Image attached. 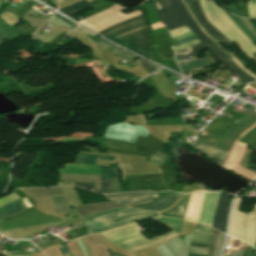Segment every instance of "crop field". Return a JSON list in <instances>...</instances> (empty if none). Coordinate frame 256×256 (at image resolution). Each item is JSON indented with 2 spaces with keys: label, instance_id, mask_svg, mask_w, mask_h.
<instances>
[{
  "label": "crop field",
  "instance_id": "8a807250",
  "mask_svg": "<svg viewBox=\"0 0 256 256\" xmlns=\"http://www.w3.org/2000/svg\"><path fill=\"white\" fill-rule=\"evenodd\" d=\"M172 2V5L170 3ZM152 0V5L155 7L156 15L161 23L167 28V31L187 25L196 37L202 42L189 49L178 51L175 53V59H182L193 56L205 49H210L217 60L227 66L236 75L242 78L245 82L254 81L252 77L240 70L234 62L225 54V52L216 45L212 40L206 37L192 17L187 12L181 0Z\"/></svg>",
  "mask_w": 256,
  "mask_h": 256
},
{
  "label": "crop field",
  "instance_id": "ac0d7876",
  "mask_svg": "<svg viewBox=\"0 0 256 256\" xmlns=\"http://www.w3.org/2000/svg\"><path fill=\"white\" fill-rule=\"evenodd\" d=\"M156 219L158 221H160L161 223H163L164 225H166L167 227H169L170 229H172V230H174L178 233L180 232L181 225H182L183 221L164 218V217H159V218H156ZM136 228H137L136 225L133 224V225H129V226H125V227L117 228V229H114V230H111V231H108V232L101 233V235H103L105 238H107V237L117 235V234L129 231V230H133V229H136ZM174 231H171V232L166 233L162 236L147 240L144 236H142L139 233L138 229H136V230L126 232V233H123V234H120V235H117V236H114V237H110V238H107V239H109L113 243H116V242L124 241V240H127V239H131V238H134V237L142 236V237L134 238V239L127 240V241H124V242L116 243L120 247H122L125 250L131 252V251H134V250H137V249H141V248L159 243L161 241L167 240L171 237H174V236L178 235V233H176Z\"/></svg>",
  "mask_w": 256,
  "mask_h": 256
},
{
  "label": "crop field",
  "instance_id": "34b2d1b8",
  "mask_svg": "<svg viewBox=\"0 0 256 256\" xmlns=\"http://www.w3.org/2000/svg\"><path fill=\"white\" fill-rule=\"evenodd\" d=\"M206 1L210 11L206 7L205 0H199L208 21L232 43L236 42L249 59L254 58L256 60L253 55L256 54V47L236 27L223 10L219 9L211 0Z\"/></svg>",
  "mask_w": 256,
  "mask_h": 256
},
{
  "label": "crop field",
  "instance_id": "412701ff",
  "mask_svg": "<svg viewBox=\"0 0 256 256\" xmlns=\"http://www.w3.org/2000/svg\"><path fill=\"white\" fill-rule=\"evenodd\" d=\"M146 212H151V211L134 210L127 207L103 211V212L85 216V218L89 219L90 221L83 223V225L92 229L94 233H98L100 231H107L112 228L120 227L133 222L158 216L156 212L133 216V215L146 213ZM129 216H133V217H129ZM125 217H129V218L118 220ZM114 220H118V221H114ZM111 221H114V222H111Z\"/></svg>",
  "mask_w": 256,
  "mask_h": 256
},
{
  "label": "crop field",
  "instance_id": "f4fd0767",
  "mask_svg": "<svg viewBox=\"0 0 256 256\" xmlns=\"http://www.w3.org/2000/svg\"><path fill=\"white\" fill-rule=\"evenodd\" d=\"M146 23L147 22L145 18H143L136 22L115 29L103 36L151 59V54L147 50L149 30Z\"/></svg>",
  "mask_w": 256,
  "mask_h": 256
},
{
  "label": "crop field",
  "instance_id": "dd49c442",
  "mask_svg": "<svg viewBox=\"0 0 256 256\" xmlns=\"http://www.w3.org/2000/svg\"><path fill=\"white\" fill-rule=\"evenodd\" d=\"M241 199H235L228 234L237 237L254 247L256 231V205L251 213H240Z\"/></svg>",
  "mask_w": 256,
  "mask_h": 256
},
{
  "label": "crop field",
  "instance_id": "e52e79f7",
  "mask_svg": "<svg viewBox=\"0 0 256 256\" xmlns=\"http://www.w3.org/2000/svg\"><path fill=\"white\" fill-rule=\"evenodd\" d=\"M203 193L204 192H194L191 193L180 203L178 204L173 210L167 212L166 214H164L165 216H170V217H176V218H182L183 215V211L187 202V198H188V202L184 211V215L183 218L184 220H188V221H196V217L198 214V210L200 207V203L203 197Z\"/></svg>",
  "mask_w": 256,
  "mask_h": 256
},
{
  "label": "crop field",
  "instance_id": "d8731c3e",
  "mask_svg": "<svg viewBox=\"0 0 256 256\" xmlns=\"http://www.w3.org/2000/svg\"><path fill=\"white\" fill-rule=\"evenodd\" d=\"M147 134L144 127L120 123L108 126L105 137L134 143L138 135L146 137Z\"/></svg>",
  "mask_w": 256,
  "mask_h": 256
},
{
  "label": "crop field",
  "instance_id": "5a996713",
  "mask_svg": "<svg viewBox=\"0 0 256 256\" xmlns=\"http://www.w3.org/2000/svg\"><path fill=\"white\" fill-rule=\"evenodd\" d=\"M30 190L36 192L38 197L51 196L56 213L70 211L64 187L38 188Z\"/></svg>",
  "mask_w": 256,
  "mask_h": 256
},
{
  "label": "crop field",
  "instance_id": "3316defc",
  "mask_svg": "<svg viewBox=\"0 0 256 256\" xmlns=\"http://www.w3.org/2000/svg\"><path fill=\"white\" fill-rule=\"evenodd\" d=\"M195 146L197 149L202 152L205 156L217 161L222 164L225 162L230 149L222 148L219 146H215L200 140L196 139Z\"/></svg>",
  "mask_w": 256,
  "mask_h": 256
},
{
  "label": "crop field",
  "instance_id": "28ad6ade",
  "mask_svg": "<svg viewBox=\"0 0 256 256\" xmlns=\"http://www.w3.org/2000/svg\"><path fill=\"white\" fill-rule=\"evenodd\" d=\"M230 200H231V196L229 194L225 192H221L219 202L215 210V216H214L212 226L223 232L225 231L227 211H228Z\"/></svg>",
  "mask_w": 256,
  "mask_h": 256
},
{
  "label": "crop field",
  "instance_id": "d1516ede",
  "mask_svg": "<svg viewBox=\"0 0 256 256\" xmlns=\"http://www.w3.org/2000/svg\"><path fill=\"white\" fill-rule=\"evenodd\" d=\"M193 10L195 11L197 17L200 19L202 24L215 36L217 37L223 44H227L230 46L232 43L226 39L217 29H215L206 19L202 8L198 2V0H189Z\"/></svg>",
  "mask_w": 256,
  "mask_h": 256
},
{
  "label": "crop field",
  "instance_id": "22f410ed",
  "mask_svg": "<svg viewBox=\"0 0 256 256\" xmlns=\"http://www.w3.org/2000/svg\"><path fill=\"white\" fill-rule=\"evenodd\" d=\"M205 54L207 55V57L203 59H200V60L194 59V60L178 63V65L182 70V73L187 71L200 70L205 67L216 64V61L213 59V57L210 55L209 52Z\"/></svg>",
  "mask_w": 256,
  "mask_h": 256
},
{
  "label": "crop field",
  "instance_id": "cbeb9de0",
  "mask_svg": "<svg viewBox=\"0 0 256 256\" xmlns=\"http://www.w3.org/2000/svg\"><path fill=\"white\" fill-rule=\"evenodd\" d=\"M118 207H123V206H119L113 202H109V203H102V204L79 206V207H77V210L82 216H84V215H88V214L95 213L98 211L114 209V208H118Z\"/></svg>",
  "mask_w": 256,
  "mask_h": 256
},
{
  "label": "crop field",
  "instance_id": "5142ce71",
  "mask_svg": "<svg viewBox=\"0 0 256 256\" xmlns=\"http://www.w3.org/2000/svg\"><path fill=\"white\" fill-rule=\"evenodd\" d=\"M64 181H86L95 182L98 192H100V175L85 174H61Z\"/></svg>",
  "mask_w": 256,
  "mask_h": 256
},
{
  "label": "crop field",
  "instance_id": "d9b57169",
  "mask_svg": "<svg viewBox=\"0 0 256 256\" xmlns=\"http://www.w3.org/2000/svg\"><path fill=\"white\" fill-rule=\"evenodd\" d=\"M26 208H28V206L21 199H19L0 208V219Z\"/></svg>",
  "mask_w": 256,
  "mask_h": 256
},
{
  "label": "crop field",
  "instance_id": "733c2abd",
  "mask_svg": "<svg viewBox=\"0 0 256 256\" xmlns=\"http://www.w3.org/2000/svg\"><path fill=\"white\" fill-rule=\"evenodd\" d=\"M90 7H92V5H90L87 1L83 0L81 2L60 9V12L70 16L72 14H75Z\"/></svg>",
  "mask_w": 256,
  "mask_h": 256
},
{
  "label": "crop field",
  "instance_id": "4a817a6b",
  "mask_svg": "<svg viewBox=\"0 0 256 256\" xmlns=\"http://www.w3.org/2000/svg\"><path fill=\"white\" fill-rule=\"evenodd\" d=\"M95 159L114 161V157L80 153L76 163L95 164Z\"/></svg>",
  "mask_w": 256,
  "mask_h": 256
},
{
  "label": "crop field",
  "instance_id": "bc2a9ffb",
  "mask_svg": "<svg viewBox=\"0 0 256 256\" xmlns=\"http://www.w3.org/2000/svg\"><path fill=\"white\" fill-rule=\"evenodd\" d=\"M157 197H159V196H157L156 194H149V195H145V196L115 198V199H111V200L115 201L117 203H120V204H125V203H133V202H140V201H144V200L154 199Z\"/></svg>",
  "mask_w": 256,
  "mask_h": 256
},
{
  "label": "crop field",
  "instance_id": "214f88e0",
  "mask_svg": "<svg viewBox=\"0 0 256 256\" xmlns=\"http://www.w3.org/2000/svg\"><path fill=\"white\" fill-rule=\"evenodd\" d=\"M186 6V8L188 9L190 15L193 17V19L196 21V23L199 25V27L201 28V30L204 32V34L206 36H208L210 39H212L215 43H220V41L218 39H216L202 24L201 22L198 20V18L196 17V15L194 14L188 0H182Z\"/></svg>",
  "mask_w": 256,
  "mask_h": 256
},
{
  "label": "crop field",
  "instance_id": "92a150f3",
  "mask_svg": "<svg viewBox=\"0 0 256 256\" xmlns=\"http://www.w3.org/2000/svg\"><path fill=\"white\" fill-rule=\"evenodd\" d=\"M180 194H173L172 197L168 198L167 200H165L162 204L159 205H155V206H149V207H144V208H139V209H148V210H162L168 206H170L179 196Z\"/></svg>",
  "mask_w": 256,
  "mask_h": 256
},
{
  "label": "crop field",
  "instance_id": "dafd665d",
  "mask_svg": "<svg viewBox=\"0 0 256 256\" xmlns=\"http://www.w3.org/2000/svg\"><path fill=\"white\" fill-rule=\"evenodd\" d=\"M0 18H2L4 21H6L7 23L13 26L19 23L20 21L19 17H17L7 9L0 14Z\"/></svg>",
  "mask_w": 256,
  "mask_h": 256
},
{
  "label": "crop field",
  "instance_id": "00972430",
  "mask_svg": "<svg viewBox=\"0 0 256 256\" xmlns=\"http://www.w3.org/2000/svg\"><path fill=\"white\" fill-rule=\"evenodd\" d=\"M82 36L89 38L91 41H93L94 43L100 45L101 47H103V48H105L107 50L115 47V46L111 45L110 43L106 42L105 40L101 39L100 37H98L96 35L93 37V36L85 33Z\"/></svg>",
  "mask_w": 256,
  "mask_h": 256
},
{
  "label": "crop field",
  "instance_id": "a9b5d70f",
  "mask_svg": "<svg viewBox=\"0 0 256 256\" xmlns=\"http://www.w3.org/2000/svg\"><path fill=\"white\" fill-rule=\"evenodd\" d=\"M212 237L213 236H211V235H207V234H203V233L194 231L191 241L210 244Z\"/></svg>",
  "mask_w": 256,
  "mask_h": 256
},
{
  "label": "crop field",
  "instance_id": "4177f3b9",
  "mask_svg": "<svg viewBox=\"0 0 256 256\" xmlns=\"http://www.w3.org/2000/svg\"><path fill=\"white\" fill-rule=\"evenodd\" d=\"M90 140H92V141H98V142H100V144L103 145V146L133 151V150H132V147L129 146V145H124V144L115 143V142H111V141H102V140H93V139H90Z\"/></svg>",
  "mask_w": 256,
  "mask_h": 256
},
{
  "label": "crop field",
  "instance_id": "730fd06b",
  "mask_svg": "<svg viewBox=\"0 0 256 256\" xmlns=\"http://www.w3.org/2000/svg\"><path fill=\"white\" fill-rule=\"evenodd\" d=\"M102 169L103 177H114V176H120L119 170L117 167V164H113V167H110L111 169H106L105 166H100Z\"/></svg>",
  "mask_w": 256,
  "mask_h": 256
},
{
  "label": "crop field",
  "instance_id": "eef30255",
  "mask_svg": "<svg viewBox=\"0 0 256 256\" xmlns=\"http://www.w3.org/2000/svg\"><path fill=\"white\" fill-rule=\"evenodd\" d=\"M165 160H166V157L157 152L154 155L150 156L149 158L150 163L158 167L162 165Z\"/></svg>",
  "mask_w": 256,
  "mask_h": 256
},
{
  "label": "crop field",
  "instance_id": "ae1a2a85",
  "mask_svg": "<svg viewBox=\"0 0 256 256\" xmlns=\"http://www.w3.org/2000/svg\"><path fill=\"white\" fill-rule=\"evenodd\" d=\"M109 51H111V52H113V53H115V54H117V55H119V56H121V57H123V58H125L127 60H134V59L138 58V57H136V56H134V55H132V54H130L128 52L122 51V50H120V49H118L116 47L111 49V50H109Z\"/></svg>",
  "mask_w": 256,
  "mask_h": 256
},
{
  "label": "crop field",
  "instance_id": "d3111659",
  "mask_svg": "<svg viewBox=\"0 0 256 256\" xmlns=\"http://www.w3.org/2000/svg\"><path fill=\"white\" fill-rule=\"evenodd\" d=\"M188 32H190V30L187 28V26H185V27H182L179 29L169 31L168 34L170 35L171 38H176V37L182 36Z\"/></svg>",
  "mask_w": 256,
  "mask_h": 256
},
{
  "label": "crop field",
  "instance_id": "750c4746",
  "mask_svg": "<svg viewBox=\"0 0 256 256\" xmlns=\"http://www.w3.org/2000/svg\"><path fill=\"white\" fill-rule=\"evenodd\" d=\"M141 18H143V15L138 16V17H135V18H132V19H129V20L124 21V22H121V23H119V24H116V25H114V26H112V27H110V28H108V29H105V30L99 32V33H100L101 35H103V34L109 32V31H111V30H113V29H115V28H117V27H119V26L125 25V24H127V23L133 22V21L138 20V19H141Z\"/></svg>",
  "mask_w": 256,
  "mask_h": 256
},
{
  "label": "crop field",
  "instance_id": "bd1437ed",
  "mask_svg": "<svg viewBox=\"0 0 256 256\" xmlns=\"http://www.w3.org/2000/svg\"><path fill=\"white\" fill-rule=\"evenodd\" d=\"M62 242H64V241L61 240V239L54 240V241H51V240L47 239V240H44V241H42V242L37 243L36 245H37L40 249L43 250V249H45V248H47V247H49V246H51V245L58 244V243H62Z\"/></svg>",
  "mask_w": 256,
  "mask_h": 256
},
{
  "label": "crop field",
  "instance_id": "1d83c4d3",
  "mask_svg": "<svg viewBox=\"0 0 256 256\" xmlns=\"http://www.w3.org/2000/svg\"><path fill=\"white\" fill-rule=\"evenodd\" d=\"M137 62H139V63L144 67V69H145L146 71H148L149 73H151V72H153V71L159 69V68L155 67L154 64L149 63V62H147V61H144V60H142V59L137 60Z\"/></svg>",
  "mask_w": 256,
  "mask_h": 256
},
{
  "label": "crop field",
  "instance_id": "120bbe31",
  "mask_svg": "<svg viewBox=\"0 0 256 256\" xmlns=\"http://www.w3.org/2000/svg\"><path fill=\"white\" fill-rule=\"evenodd\" d=\"M102 192H111L110 178H102L101 175Z\"/></svg>",
  "mask_w": 256,
  "mask_h": 256
},
{
  "label": "crop field",
  "instance_id": "d32e631a",
  "mask_svg": "<svg viewBox=\"0 0 256 256\" xmlns=\"http://www.w3.org/2000/svg\"><path fill=\"white\" fill-rule=\"evenodd\" d=\"M0 29L4 30V31H6V32H9V33H11V34H13V35H15V36H17V37H19L18 34H16V33H14V32L11 31L12 29H14V27L11 26V25H9V24H7L6 22H4V21L1 20V19H0Z\"/></svg>",
  "mask_w": 256,
  "mask_h": 256
},
{
  "label": "crop field",
  "instance_id": "5866460e",
  "mask_svg": "<svg viewBox=\"0 0 256 256\" xmlns=\"http://www.w3.org/2000/svg\"><path fill=\"white\" fill-rule=\"evenodd\" d=\"M246 4H247L248 10H249L250 18L256 19V3L251 1V2H247Z\"/></svg>",
  "mask_w": 256,
  "mask_h": 256
},
{
  "label": "crop field",
  "instance_id": "028f5c9d",
  "mask_svg": "<svg viewBox=\"0 0 256 256\" xmlns=\"http://www.w3.org/2000/svg\"><path fill=\"white\" fill-rule=\"evenodd\" d=\"M195 230L213 235L215 229L208 226L197 224Z\"/></svg>",
  "mask_w": 256,
  "mask_h": 256
},
{
  "label": "crop field",
  "instance_id": "e1f06a70",
  "mask_svg": "<svg viewBox=\"0 0 256 256\" xmlns=\"http://www.w3.org/2000/svg\"><path fill=\"white\" fill-rule=\"evenodd\" d=\"M208 251H209V249H206V248H199V247L190 246L188 252L207 255Z\"/></svg>",
  "mask_w": 256,
  "mask_h": 256
},
{
  "label": "crop field",
  "instance_id": "0bd39190",
  "mask_svg": "<svg viewBox=\"0 0 256 256\" xmlns=\"http://www.w3.org/2000/svg\"><path fill=\"white\" fill-rule=\"evenodd\" d=\"M152 192H137V193H125V194H112L106 195L107 197H126V196H136V195H144Z\"/></svg>",
  "mask_w": 256,
  "mask_h": 256
},
{
  "label": "crop field",
  "instance_id": "b80d0937",
  "mask_svg": "<svg viewBox=\"0 0 256 256\" xmlns=\"http://www.w3.org/2000/svg\"><path fill=\"white\" fill-rule=\"evenodd\" d=\"M219 234H220V232L215 231V235H214V238H213V241H212V245H211L209 256H214V251H215V247H216V243H217Z\"/></svg>",
  "mask_w": 256,
  "mask_h": 256
},
{
  "label": "crop field",
  "instance_id": "c035e120",
  "mask_svg": "<svg viewBox=\"0 0 256 256\" xmlns=\"http://www.w3.org/2000/svg\"><path fill=\"white\" fill-rule=\"evenodd\" d=\"M113 192H122L120 187V177L112 178Z\"/></svg>",
  "mask_w": 256,
  "mask_h": 256
},
{
  "label": "crop field",
  "instance_id": "c21b1889",
  "mask_svg": "<svg viewBox=\"0 0 256 256\" xmlns=\"http://www.w3.org/2000/svg\"><path fill=\"white\" fill-rule=\"evenodd\" d=\"M198 43H200V41H198L197 39H195V40H193V41H191V42H188V43H186V44H184V45L175 47L174 50L177 51V50L189 48V47H191V46H193V45H195V44H198Z\"/></svg>",
  "mask_w": 256,
  "mask_h": 256
},
{
  "label": "crop field",
  "instance_id": "03da06ac",
  "mask_svg": "<svg viewBox=\"0 0 256 256\" xmlns=\"http://www.w3.org/2000/svg\"><path fill=\"white\" fill-rule=\"evenodd\" d=\"M254 108H255V106H253L248 112H247V114L242 118V119H240L236 124H234L230 129H229V131L226 133V137H228V135H229V133H230V131L232 130V129H234L240 122H242L246 117H248L249 115H250V113L254 110Z\"/></svg>",
  "mask_w": 256,
  "mask_h": 256
},
{
  "label": "crop field",
  "instance_id": "b54c1fbb",
  "mask_svg": "<svg viewBox=\"0 0 256 256\" xmlns=\"http://www.w3.org/2000/svg\"><path fill=\"white\" fill-rule=\"evenodd\" d=\"M57 248L59 249V251L62 253L63 256L71 255L67 244L61 245V246H57Z\"/></svg>",
  "mask_w": 256,
  "mask_h": 256
},
{
  "label": "crop field",
  "instance_id": "5d738f31",
  "mask_svg": "<svg viewBox=\"0 0 256 256\" xmlns=\"http://www.w3.org/2000/svg\"><path fill=\"white\" fill-rule=\"evenodd\" d=\"M223 240H224V234L221 233L220 237H219V240H218L215 256H219L220 255V251H221V246H222Z\"/></svg>",
  "mask_w": 256,
  "mask_h": 256
},
{
  "label": "crop field",
  "instance_id": "d23c7cc5",
  "mask_svg": "<svg viewBox=\"0 0 256 256\" xmlns=\"http://www.w3.org/2000/svg\"><path fill=\"white\" fill-rule=\"evenodd\" d=\"M170 196H171V195H167V196L163 197L162 199L156 200V201H154V202H152V203H148V204H144V205H138V206H131V207L139 208V207H144V206L159 204V203L163 202L165 199H167V198L170 197Z\"/></svg>",
  "mask_w": 256,
  "mask_h": 256
},
{
  "label": "crop field",
  "instance_id": "425ffa30",
  "mask_svg": "<svg viewBox=\"0 0 256 256\" xmlns=\"http://www.w3.org/2000/svg\"><path fill=\"white\" fill-rule=\"evenodd\" d=\"M193 39H195L194 34H192V35H190V36H188V37H186V38H184V39H182V40L173 42V47H174V46H178V45H180V44H182V43H185V42L190 41V40H193Z\"/></svg>",
  "mask_w": 256,
  "mask_h": 256
},
{
  "label": "crop field",
  "instance_id": "25e5ab78",
  "mask_svg": "<svg viewBox=\"0 0 256 256\" xmlns=\"http://www.w3.org/2000/svg\"><path fill=\"white\" fill-rule=\"evenodd\" d=\"M254 249L249 247L244 249L242 256H253Z\"/></svg>",
  "mask_w": 256,
  "mask_h": 256
},
{
  "label": "crop field",
  "instance_id": "73cf0c24",
  "mask_svg": "<svg viewBox=\"0 0 256 256\" xmlns=\"http://www.w3.org/2000/svg\"><path fill=\"white\" fill-rule=\"evenodd\" d=\"M241 20L251 30V32L256 36V31L253 29V27L250 25V23L247 21V19H241Z\"/></svg>",
  "mask_w": 256,
  "mask_h": 256
},
{
  "label": "crop field",
  "instance_id": "89e229c0",
  "mask_svg": "<svg viewBox=\"0 0 256 256\" xmlns=\"http://www.w3.org/2000/svg\"><path fill=\"white\" fill-rule=\"evenodd\" d=\"M75 185H77L79 187H83V188H93L92 183H75Z\"/></svg>",
  "mask_w": 256,
  "mask_h": 256
},
{
  "label": "crop field",
  "instance_id": "1f2cbd36",
  "mask_svg": "<svg viewBox=\"0 0 256 256\" xmlns=\"http://www.w3.org/2000/svg\"><path fill=\"white\" fill-rule=\"evenodd\" d=\"M54 16H56V17H58V18L64 20L65 22L69 23V24L72 25V26L76 25V24H74V23H72V22L66 20L65 18L61 17L60 15H58V14H56V13L54 14Z\"/></svg>",
  "mask_w": 256,
  "mask_h": 256
},
{
  "label": "crop field",
  "instance_id": "dbb93151",
  "mask_svg": "<svg viewBox=\"0 0 256 256\" xmlns=\"http://www.w3.org/2000/svg\"><path fill=\"white\" fill-rule=\"evenodd\" d=\"M151 201H152V200L145 201V202H140V203L126 204V206L138 205V204H144V203H148V202H151Z\"/></svg>",
  "mask_w": 256,
  "mask_h": 256
},
{
  "label": "crop field",
  "instance_id": "0fb4a251",
  "mask_svg": "<svg viewBox=\"0 0 256 256\" xmlns=\"http://www.w3.org/2000/svg\"><path fill=\"white\" fill-rule=\"evenodd\" d=\"M0 36H1V37H4V38H6V39H8V40H10V41L12 40V38H10V37H8V36H5V35H3V34H0Z\"/></svg>",
  "mask_w": 256,
  "mask_h": 256
},
{
  "label": "crop field",
  "instance_id": "1d79db26",
  "mask_svg": "<svg viewBox=\"0 0 256 256\" xmlns=\"http://www.w3.org/2000/svg\"><path fill=\"white\" fill-rule=\"evenodd\" d=\"M241 254H242V251L241 252L236 251L234 256H241Z\"/></svg>",
  "mask_w": 256,
  "mask_h": 256
},
{
  "label": "crop field",
  "instance_id": "9d1cf04e",
  "mask_svg": "<svg viewBox=\"0 0 256 256\" xmlns=\"http://www.w3.org/2000/svg\"><path fill=\"white\" fill-rule=\"evenodd\" d=\"M112 256H122V255H119V254H116V253H113L111 252Z\"/></svg>",
  "mask_w": 256,
  "mask_h": 256
},
{
  "label": "crop field",
  "instance_id": "447ae74e",
  "mask_svg": "<svg viewBox=\"0 0 256 256\" xmlns=\"http://www.w3.org/2000/svg\"><path fill=\"white\" fill-rule=\"evenodd\" d=\"M62 1H64V0H57L58 3H59V2H62Z\"/></svg>",
  "mask_w": 256,
  "mask_h": 256
},
{
  "label": "crop field",
  "instance_id": "0765c3eb",
  "mask_svg": "<svg viewBox=\"0 0 256 256\" xmlns=\"http://www.w3.org/2000/svg\"><path fill=\"white\" fill-rule=\"evenodd\" d=\"M3 41V39L0 38V43Z\"/></svg>",
  "mask_w": 256,
  "mask_h": 256
},
{
  "label": "crop field",
  "instance_id": "db79e9e6",
  "mask_svg": "<svg viewBox=\"0 0 256 256\" xmlns=\"http://www.w3.org/2000/svg\"><path fill=\"white\" fill-rule=\"evenodd\" d=\"M255 249H256V245H255Z\"/></svg>",
  "mask_w": 256,
  "mask_h": 256
}]
</instances>
